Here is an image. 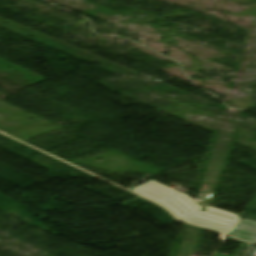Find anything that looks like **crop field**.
I'll list each match as a JSON object with an SVG mask.
<instances>
[{
    "mask_svg": "<svg viewBox=\"0 0 256 256\" xmlns=\"http://www.w3.org/2000/svg\"><path fill=\"white\" fill-rule=\"evenodd\" d=\"M235 256H256V247L241 244Z\"/></svg>",
    "mask_w": 256,
    "mask_h": 256,
    "instance_id": "34b2d1b8",
    "label": "crop field"
},
{
    "mask_svg": "<svg viewBox=\"0 0 256 256\" xmlns=\"http://www.w3.org/2000/svg\"><path fill=\"white\" fill-rule=\"evenodd\" d=\"M217 256H226V255H220V254H217Z\"/></svg>",
    "mask_w": 256,
    "mask_h": 256,
    "instance_id": "412701ff",
    "label": "crop field"
},
{
    "mask_svg": "<svg viewBox=\"0 0 256 256\" xmlns=\"http://www.w3.org/2000/svg\"><path fill=\"white\" fill-rule=\"evenodd\" d=\"M231 235L256 244V222L241 219Z\"/></svg>",
    "mask_w": 256,
    "mask_h": 256,
    "instance_id": "ac0d7876",
    "label": "crop field"
},
{
    "mask_svg": "<svg viewBox=\"0 0 256 256\" xmlns=\"http://www.w3.org/2000/svg\"><path fill=\"white\" fill-rule=\"evenodd\" d=\"M132 191L170 209L179 219L231 234L241 218L235 213L206 207L207 212L192 198L154 180Z\"/></svg>",
    "mask_w": 256,
    "mask_h": 256,
    "instance_id": "8a807250",
    "label": "crop field"
}]
</instances>
